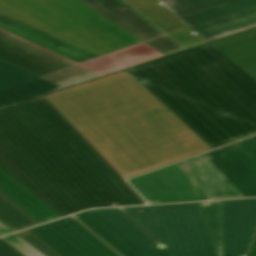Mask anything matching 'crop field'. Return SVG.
Wrapping results in <instances>:
<instances>
[{
    "label": "crop field",
    "mask_w": 256,
    "mask_h": 256,
    "mask_svg": "<svg viewBox=\"0 0 256 256\" xmlns=\"http://www.w3.org/2000/svg\"><path fill=\"white\" fill-rule=\"evenodd\" d=\"M0 59L63 88L100 77L2 32Z\"/></svg>",
    "instance_id": "crop-field-9"
},
{
    "label": "crop field",
    "mask_w": 256,
    "mask_h": 256,
    "mask_svg": "<svg viewBox=\"0 0 256 256\" xmlns=\"http://www.w3.org/2000/svg\"><path fill=\"white\" fill-rule=\"evenodd\" d=\"M9 232H12V230H10L8 227L0 222V234L3 235Z\"/></svg>",
    "instance_id": "crop-field-28"
},
{
    "label": "crop field",
    "mask_w": 256,
    "mask_h": 256,
    "mask_svg": "<svg viewBox=\"0 0 256 256\" xmlns=\"http://www.w3.org/2000/svg\"><path fill=\"white\" fill-rule=\"evenodd\" d=\"M207 42L256 26V0H161Z\"/></svg>",
    "instance_id": "crop-field-7"
},
{
    "label": "crop field",
    "mask_w": 256,
    "mask_h": 256,
    "mask_svg": "<svg viewBox=\"0 0 256 256\" xmlns=\"http://www.w3.org/2000/svg\"><path fill=\"white\" fill-rule=\"evenodd\" d=\"M210 232L217 256H223L222 201L199 203Z\"/></svg>",
    "instance_id": "crop-field-23"
},
{
    "label": "crop field",
    "mask_w": 256,
    "mask_h": 256,
    "mask_svg": "<svg viewBox=\"0 0 256 256\" xmlns=\"http://www.w3.org/2000/svg\"><path fill=\"white\" fill-rule=\"evenodd\" d=\"M72 12L76 13L89 23L93 24L97 28L101 29L105 33L109 34L113 38L117 39L121 43L125 44L136 53L144 57L146 60L151 61L157 58L164 57L151 47L147 46L136 37L126 32L122 28L118 27L114 23L110 22L106 18L102 17L86 5L82 4L78 0H56Z\"/></svg>",
    "instance_id": "crop-field-18"
},
{
    "label": "crop field",
    "mask_w": 256,
    "mask_h": 256,
    "mask_svg": "<svg viewBox=\"0 0 256 256\" xmlns=\"http://www.w3.org/2000/svg\"><path fill=\"white\" fill-rule=\"evenodd\" d=\"M106 79L187 158L211 150L127 70Z\"/></svg>",
    "instance_id": "crop-field-8"
},
{
    "label": "crop field",
    "mask_w": 256,
    "mask_h": 256,
    "mask_svg": "<svg viewBox=\"0 0 256 256\" xmlns=\"http://www.w3.org/2000/svg\"><path fill=\"white\" fill-rule=\"evenodd\" d=\"M238 144L256 161V136L238 142Z\"/></svg>",
    "instance_id": "crop-field-25"
},
{
    "label": "crop field",
    "mask_w": 256,
    "mask_h": 256,
    "mask_svg": "<svg viewBox=\"0 0 256 256\" xmlns=\"http://www.w3.org/2000/svg\"><path fill=\"white\" fill-rule=\"evenodd\" d=\"M123 256H145L93 211L75 216Z\"/></svg>",
    "instance_id": "crop-field-20"
},
{
    "label": "crop field",
    "mask_w": 256,
    "mask_h": 256,
    "mask_svg": "<svg viewBox=\"0 0 256 256\" xmlns=\"http://www.w3.org/2000/svg\"><path fill=\"white\" fill-rule=\"evenodd\" d=\"M128 71L136 78H144L147 81L146 83H144L146 88L212 149L221 146L218 141H216L208 132H206L197 122H195L186 112H184L175 102H173L164 92H162L136 67L128 69Z\"/></svg>",
    "instance_id": "crop-field-21"
},
{
    "label": "crop field",
    "mask_w": 256,
    "mask_h": 256,
    "mask_svg": "<svg viewBox=\"0 0 256 256\" xmlns=\"http://www.w3.org/2000/svg\"><path fill=\"white\" fill-rule=\"evenodd\" d=\"M0 164L63 216L147 204L44 97L0 110Z\"/></svg>",
    "instance_id": "crop-field-1"
},
{
    "label": "crop field",
    "mask_w": 256,
    "mask_h": 256,
    "mask_svg": "<svg viewBox=\"0 0 256 256\" xmlns=\"http://www.w3.org/2000/svg\"><path fill=\"white\" fill-rule=\"evenodd\" d=\"M31 231L63 256H119L73 217Z\"/></svg>",
    "instance_id": "crop-field-11"
},
{
    "label": "crop field",
    "mask_w": 256,
    "mask_h": 256,
    "mask_svg": "<svg viewBox=\"0 0 256 256\" xmlns=\"http://www.w3.org/2000/svg\"><path fill=\"white\" fill-rule=\"evenodd\" d=\"M0 221L13 231L40 224V222H38L1 191Z\"/></svg>",
    "instance_id": "crop-field-22"
},
{
    "label": "crop field",
    "mask_w": 256,
    "mask_h": 256,
    "mask_svg": "<svg viewBox=\"0 0 256 256\" xmlns=\"http://www.w3.org/2000/svg\"><path fill=\"white\" fill-rule=\"evenodd\" d=\"M147 201L154 203L209 199L175 165L129 180Z\"/></svg>",
    "instance_id": "crop-field-12"
},
{
    "label": "crop field",
    "mask_w": 256,
    "mask_h": 256,
    "mask_svg": "<svg viewBox=\"0 0 256 256\" xmlns=\"http://www.w3.org/2000/svg\"><path fill=\"white\" fill-rule=\"evenodd\" d=\"M123 209L158 242L170 248L156 249L155 241L121 209L94 212L146 256H216L198 203Z\"/></svg>",
    "instance_id": "crop-field-4"
},
{
    "label": "crop field",
    "mask_w": 256,
    "mask_h": 256,
    "mask_svg": "<svg viewBox=\"0 0 256 256\" xmlns=\"http://www.w3.org/2000/svg\"><path fill=\"white\" fill-rule=\"evenodd\" d=\"M0 31L100 76L147 62L54 0H0Z\"/></svg>",
    "instance_id": "crop-field-3"
},
{
    "label": "crop field",
    "mask_w": 256,
    "mask_h": 256,
    "mask_svg": "<svg viewBox=\"0 0 256 256\" xmlns=\"http://www.w3.org/2000/svg\"><path fill=\"white\" fill-rule=\"evenodd\" d=\"M73 89L153 168L186 159L105 78Z\"/></svg>",
    "instance_id": "crop-field-5"
},
{
    "label": "crop field",
    "mask_w": 256,
    "mask_h": 256,
    "mask_svg": "<svg viewBox=\"0 0 256 256\" xmlns=\"http://www.w3.org/2000/svg\"><path fill=\"white\" fill-rule=\"evenodd\" d=\"M224 256L246 255L256 231V199L223 201Z\"/></svg>",
    "instance_id": "crop-field-13"
},
{
    "label": "crop field",
    "mask_w": 256,
    "mask_h": 256,
    "mask_svg": "<svg viewBox=\"0 0 256 256\" xmlns=\"http://www.w3.org/2000/svg\"><path fill=\"white\" fill-rule=\"evenodd\" d=\"M167 56L184 50L123 0H79ZM125 7L126 10L119 9Z\"/></svg>",
    "instance_id": "crop-field-10"
},
{
    "label": "crop field",
    "mask_w": 256,
    "mask_h": 256,
    "mask_svg": "<svg viewBox=\"0 0 256 256\" xmlns=\"http://www.w3.org/2000/svg\"><path fill=\"white\" fill-rule=\"evenodd\" d=\"M18 235H20L22 238H24L46 256H62L30 230L18 233Z\"/></svg>",
    "instance_id": "crop-field-24"
},
{
    "label": "crop field",
    "mask_w": 256,
    "mask_h": 256,
    "mask_svg": "<svg viewBox=\"0 0 256 256\" xmlns=\"http://www.w3.org/2000/svg\"><path fill=\"white\" fill-rule=\"evenodd\" d=\"M20 252V251H19ZM5 240L0 238V256H23ZM25 256V255H24Z\"/></svg>",
    "instance_id": "crop-field-26"
},
{
    "label": "crop field",
    "mask_w": 256,
    "mask_h": 256,
    "mask_svg": "<svg viewBox=\"0 0 256 256\" xmlns=\"http://www.w3.org/2000/svg\"><path fill=\"white\" fill-rule=\"evenodd\" d=\"M45 98L123 179L152 170L72 88Z\"/></svg>",
    "instance_id": "crop-field-6"
},
{
    "label": "crop field",
    "mask_w": 256,
    "mask_h": 256,
    "mask_svg": "<svg viewBox=\"0 0 256 256\" xmlns=\"http://www.w3.org/2000/svg\"><path fill=\"white\" fill-rule=\"evenodd\" d=\"M63 89L0 60V108Z\"/></svg>",
    "instance_id": "crop-field-15"
},
{
    "label": "crop field",
    "mask_w": 256,
    "mask_h": 256,
    "mask_svg": "<svg viewBox=\"0 0 256 256\" xmlns=\"http://www.w3.org/2000/svg\"><path fill=\"white\" fill-rule=\"evenodd\" d=\"M185 49L206 43L160 0H125Z\"/></svg>",
    "instance_id": "crop-field-16"
},
{
    "label": "crop field",
    "mask_w": 256,
    "mask_h": 256,
    "mask_svg": "<svg viewBox=\"0 0 256 256\" xmlns=\"http://www.w3.org/2000/svg\"><path fill=\"white\" fill-rule=\"evenodd\" d=\"M248 256H256V236L249 250Z\"/></svg>",
    "instance_id": "crop-field-27"
},
{
    "label": "crop field",
    "mask_w": 256,
    "mask_h": 256,
    "mask_svg": "<svg viewBox=\"0 0 256 256\" xmlns=\"http://www.w3.org/2000/svg\"><path fill=\"white\" fill-rule=\"evenodd\" d=\"M137 68L222 145L256 134V29Z\"/></svg>",
    "instance_id": "crop-field-2"
},
{
    "label": "crop field",
    "mask_w": 256,
    "mask_h": 256,
    "mask_svg": "<svg viewBox=\"0 0 256 256\" xmlns=\"http://www.w3.org/2000/svg\"><path fill=\"white\" fill-rule=\"evenodd\" d=\"M204 156L245 196H256V162L237 144Z\"/></svg>",
    "instance_id": "crop-field-14"
},
{
    "label": "crop field",
    "mask_w": 256,
    "mask_h": 256,
    "mask_svg": "<svg viewBox=\"0 0 256 256\" xmlns=\"http://www.w3.org/2000/svg\"><path fill=\"white\" fill-rule=\"evenodd\" d=\"M0 190L41 223L62 217L0 165Z\"/></svg>",
    "instance_id": "crop-field-19"
},
{
    "label": "crop field",
    "mask_w": 256,
    "mask_h": 256,
    "mask_svg": "<svg viewBox=\"0 0 256 256\" xmlns=\"http://www.w3.org/2000/svg\"><path fill=\"white\" fill-rule=\"evenodd\" d=\"M176 166L210 199L244 197L203 155Z\"/></svg>",
    "instance_id": "crop-field-17"
}]
</instances>
